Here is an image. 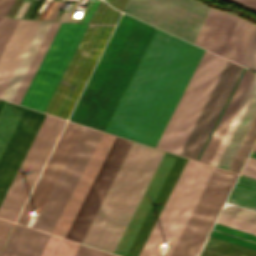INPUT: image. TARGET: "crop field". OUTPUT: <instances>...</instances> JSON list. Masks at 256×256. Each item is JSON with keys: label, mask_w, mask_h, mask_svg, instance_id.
Here are the masks:
<instances>
[{"label": "crop field", "mask_w": 256, "mask_h": 256, "mask_svg": "<svg viewBox=\"0 0 256 256\" xmlns=\"http://www.w3.org/2000/svg\"><path fill=\"white\" fill-rule=\"evenodd\" d=\"M202 52L156 29L105 132L154 147Z\"/></svg>", "instance_id": "8a807250"}, {"label": "crop field", "mask_w": 256, "mask_h": 256, "mask_svg": "<svg viewBox=\"0 0 256 256\" xmlns=\"http://www.w3.org/2000/svg\"><path fill=\"white\" fill-rule=\"evenodd\" d=\"M154 31L123 14L69 120L104 131Z\"/></svg>", "instance_id": "ac0d7876"}, {"label": "crop field", "mask_w": 256, "mask_h": 256, "mask_svg": "<svg viewBox=\"0 0 256 256\" xmlns=\"http://www.w3.org/2000/svg\"><path fill=\"white\" fill-rule=\"evenodd\" d=\"M163 154L132 142L83 244L114 252Z\"/></svg>", "instance_id": "34b2d1b8"}, {"label": "crop field", "mask_w": 256, "mask_h": 256, "mask_svg": "<svg viewBox=\"0 0 256 256\" xmlns=\"http://www.w3.org/2000/svg\"><path fill=\"white\" fill-rule=\"evenodd\" d=\"M81 129H82V126L67 122L44 168V171L40 175L17 221L18 223L25 225L32 211L40 212ZM99 134H100V131L84 127L69 159L67 160L51 194L49 195L34 225V228H37L49 233L51 232Z\"/></svg>", "instance_id": "412701ff"}, {"label": "crop field", "mask_w": 256, "mask_h": 256, "mask_svg": "<svg viewBox=\"0 0 256 256\" xmlns=\"http://www.w3.org/2000/svg\"><path fill=\"white\" fill-rule=\"evenodd\" d=\"M130 144L103 133L53 234L81 242Z\"/></svg>", "instance_id": "f4fd0767"}, {"label": "crop field", "mask_w": 256, "mask_h": 256, "mask_svg": "<svg viewBox=\"0 0 256 256\" xmlns=\"http://www.w3.org/2000/svg\"><path fill=\"white\" fill-rule=\"evenodd\" d=\"M39 21L19 20L0 57V99ZM60 23L40 21L2 100L19 104Z\"/></svg>", "instance_id": "dd49c442"}, {"label": "crop field", "mask_w": 256, "mask_h": 256, "mask_svg": "<svg viewBox=\"0 0 256 256\" xmlns=\"http://www.w3.org/2000/svg\"><path fill=\"white\" fill-rule=\"evenodd\" d=\"M213 167L188 159L164 209L162 210L140 256L157 255L163 242L170 244L169 256Z\"/></svg>", "instance_id": "e52e79f7"}, {"label": "crop field", "mask_w": 256, "mask_h": 256, "mask_svg": "<svg viewBox=\"0 0 256 256\" xmlns=\"http://www.w3.org/2000/svg\"><path fill=\"white\" fill-rule=\"evenodd\" d=\"M226 60L204 51L156 147L180 153Z\"/></svg>", "instance_id": "d8731c3e"}, {"label": "crop field", "mask_w": 256, "mask_h": 256, "mask_svg": "<svg viewBox=\"0 0 256 256\" xmlns=\"http://www.w3.org/2000/svg\"><path fill=\"white\" fill-rule=\"evenodd\" d=\"M113 27L88 25L44 113L67 119Z\"/></svg>", "instance_id": "5a996713"}, {"label": "crop field", "mask_w": 256, "mask_h": 256, "mask_svg": "<svg viewBox=\"0 0 256 256\" xmlns=\"http://www.w3.org/2000/svg\"><path fill=\"white\" fill-rule=\"evenodd\" d=\"M237 176L214 168L170 256H197Z\"/></svg>", "instance_id": "3316defc"}, {"label": "crop field", "mask_w": 256, "mask_h": 256, "mask_svg": "<svg viewBox=\"0 0 256 256\" xmlns=\"http://www.w3.org/2000/svg\"><path fill=\"white\" fill-rule=\"evenodd\" d=\"M86 27L61 23L20 105L43 112Z\"/></svg>", "instance_id": "28ad6ade"}, {"label": "crop field", "mask_w": 256, "mask_h": 256, "mask_svg": "<svg viewBox=\"0 0 256 256\" xmlns=\"http://www.w3.org/2000/svg\"><path fill=\"white\" fill-rule=\"evenodd\" d=\"M124 12L194 43L210 9L195 0H129Z\"/></svg>", "instance_id": "d1516ede"}, {"label": "crop field", "mask_w": 256, "mask_h": 256, "mask_svg": "<svg viewBox=\"0 0 256 256\" xmlns=\"http://www.w3.org/2000/svg\"><path fill=\"white\" fill-rule=\"evenodd\" d=\"M64 123L46 115L0 205V217L15 221Z\"/></svg>", "instance_id": "22f410ed"}, {"label": "crop field", "mask_w": 256, "mask_h": 256, "mask_svg": "<svg viewBox=\"0 0 256 256\" xmlns=\"http://www.w3.org/2000/svg\"><path fill=\"white\" fill-rule=\"evenodd\" d=\"M243 71L244 68L227 61L180 153L181 155L198 160Z\"/></svg>", "instance_id": "cbeb9de0"}, {"label": "crop field", "mask_w": 256, "mask_h": 256, "mask_svg": "<svg viewBox=\"0 0 256 256\" xmlns=\"http://www.w3.org/2000/svg\"><path fill=\"white\" fill-rule=\"evenodd\" d=\"M256 26L212 10L196 44L239 62Z\"/></svg>", "instance_id": "5142ce71"}, {"label": "crop field", "mask_w": 256, "mask_h": 256, "mask_svg": "<svg viewBox=\"0 0 256 256\" xmlns=\"http://www.w3.org/2000/svg\"><path fill=\"white\" fill-rule=\"evenodd\" d=\"M49 234L15 224L0 256H39Z\"/></svg>", "instance_id": "d9b57169"}, {"label": "crop field", "mask_w": 256, "mask_h": 256, "mask_svg": "<svg viewBox=\"0 0 256 256\" xmlns=\"http://www.w3.org/2000/svg\"><path fill=\"white\" fill-rule=\"evenodd\" d=\"M253 73L245 70L237 88L235 89L228 105L226 106L218 124L216 125L209 141L207 142L199 161L209 164L251 78Z\"/></svg>", "instance_id": "733c2abd"}, {"label": "crop field", "mask_w": 256, "mask_h": 256, "mask_svg": "<svg viewBox=\"0 0 256 256\" xmlns=\"http://www.w3.org/2000/svg\"><path fill=\"white\" fill-rule=\"evenodd\" d=\"M256 115V89L225 149L217 167L229 169L254 117Z\"/></svg>", "instance_id": "4a817a6b"}, {"label": "crop field", "mask_w": 256, "mask_h": 256, "mask_svg": "<svg viewBox=\"0 0 256 256\" xmlns=\"http://www.w3.org/2000/svg\"><path fill=\"white\" fill-rule=\"evenodd\" d=\"M204 247L214 249L233 256H256V251L217 238L208 236ZM202 248L199 256H229L214 250Z\"/></svg>", "instance_id": "bc2a9ffb"}, {"label": "crop field", "mask_w": 256, "mask_h": 256, "mask_svg": "<svg viewBox=\"0 0 256 256\" xmlns=\"http://www.w3.org/2000/svg\"><path fill=\"white\" fill-rule=\"evenodd\" d=\"M209 235L256 250V236L248 233L215 223Z\"/></svg>", "instance_id": "214f88e0"}, {"label": "crop field", "mask_w": 256, "mask_h": 256, "mask_svg": "<svg viewBox=\"0 0 256 256\" xmlns=\"http://www.w3.org/2000/svg\"><path fill=\"white\" fill-rule=\"evenodd\" d=\"M255 86H256V73L254 74V76H253V78H252V80H251V82H250V84H249V86H248V88H247V90H246V92H245V94H244V96H243V98H242V100H241V102H240V104H239V106H238V108H237V110H236V112H235V114H234V116H233V118H232V120H231V122H230L222 140H221V142H220V144H219V146H218V148H217V150H216V152H215V154H214V156H213V158L210 162V165H214V166L216 165V163H217V161H218V159H219V157H220V155H221L229 137L231 136V134H232V132H233V130H234V128H235V126H236V124H237V122H238V120H239V118H240V116H241V114H242V112H243V110H244V108H245V106H246L254 88H255Z\"/></svg>", "instance_id": "92a150f3"}, {"label": "crop field", "mask_w": 256, "mask_h": 256, "mask_svg": "<svg viewBox=\"0 0 256 256\" xmlns=\"http://www.w3.org/2000/svg\"><path fill=\"white\" fill-rule=\"evenodd\" d=\"M78 243L51 235L41 256H73Z\"/></svg>", "instance_id": "dafd665d"}, {"label": "crop field", "mask_w": 256, "mask_h": 256, "mask_svg": "<svg viewBox=\"0 0 256 256\" xmlns=\"http://www.w3.org/2000/svg\"><path fill=\"white\" fill-rule=\"evenodd\" d=\"M228 202L256 210V192L234 185Z\"/></svg>", "instance_id": "00972430"}, {"label": "crop field", "mask_w": 256, "mask_h": 256, "mask_svg": "<svg viewBox=\"0 0 256 256\" xmlns=\"http://www.w3.org/2000/svg\"><path fill=\"white\" fill-rule=\"evenodd\" d=\"M109 7L105 2L100 1L89 23L116 25L121 13Z\"/></svg>", "instance_id": "a9b5d70f"}, {"label": "crop field", "mask_w": 256, "mask_h": 256, "mask_svg": "<svg viewBox=\"0 0 256 256\" xmlns=\"http://www.w3.org/2000/svg\"><path fill=\"white\" fill-rule=\"evenodd\" d=\"M255 139H256V118L230 168V171L239 173Z\"/></svg>", "instance_id": "4177f3b9"}, {"label": "crop field", "mask_w": 256, "mask_h": 256, "mask_svg": "<svg viewBox=\"0 0 256 256\" xmlns=\"http://www.w3.org/2000/svg\"><path fill=\"white\" fill-rule=\"evenodd\" d=\"M221 214L234 217L252 224H256V212L237 206H228L221 210Z\"/></svg>", "instance_id": "730fd06b"}, {"label": "crop field", "mask_w": 256, "mask_h": 256, "mask_svg": "<svg viewBox=\"0 0 256 256\" xmlns=\"http://www.w3.org/2000/svg\"><path fill=\"white\" fill-rule=\"evenodd\" d=\"M18 20L0 16V55L10 38Z\"/></svg>", "instance_id": "eef30255"}, {"label": "crop field", "mask_w": 256, "mask_h": 256, "mask_svg": "<svg viewBox=\"0 0 256 256\" xmlns=\"http://www.w3.org/2000/svg\"><path fill=\"white\" fill-rule=\"evenodd\" d=\"M216 223L256 235V225L219 214Z\"/></svg>", "instance_id": "ae1a2a85"}, {"label": "crop field", "mask_w": 256, "mask_h": 256, "mask_svg": "<svg viewBox=\"0 0 256 256\" xmlns=\"http://www.w3.org/2000/svg\"><path fill=\"white\" fill-rule=\"evenodd\" d=\"M240 64L256 71V31L240 61Z\"/></svg>", "instance_id": "d3111659"}, {"label": "crop field", "mask_w": 256, "mask_h": 256, "mask_svg": "<svg viewBox=\"0 0 256 256\" xmlns=\"http://www.w3.org/2000/svg\"><path fill=\"white\" fill-rule=\"evenodd\" d=\"M84 248V245L80 244L75 256H80L82 250ZM111 253H107L101 250H97L91 247L85 246L81 256H111Z\"/></svg>", "instance_id": "750c4746"}, {"label": "crop field", "mask_w": 256, "mask_h": 256, "mask_svg": "<svg viewBox=\"0 0 256 256\" xmlns=\"http://www.w3.org/2000/svg\"><path fill=\"white\" fill-rule=\"evenodd\" d=\"M256 13V0H226Z\"/></svg>", "instance_id": "bd1437ed"}, {"label": "crop field", "mask_w": 256, "mask_h": 256, "mask_svg": "<svg viewBox=\"0 0 256 256\" xmlns=\"http://www.w3.org/2000/svg\"><path fill=\"white\" fill-rule=\"evenodd\" d=\"M241 175L256 179V162L248 160Z\"/></svg>", "instance_id": "1d83c4d3"}, {"label": "crop field", "mask_w": 256, "mask_h": 256, "mask_svg": "<svg viewBox=\"0 0 256 256\" xmlns=\"http://www.w3.org/2000/svg\"><path fill=\"white\" fill-rule=\"evenodd\" d=\"M236 185L256 191V181L239 176Z\"/></svg>", "instance_id": "120bbe31"}, {"label": "crop field", "mask_w": 256, "mask_h": 256, "mask_svg": "<svg viewBox=\"0 0 256 256\" xmlns=\"http://www.w3.org/2000/svg\"><path fill=\"white\" fill-rule=\"evenodd\" d=\"M11 223L10 222H6L3 221L2 219H0V245L10 227Z\"/></svg>", "instance_id": "d32e631a"}, {"label": "crop field", "mask_w": 256, "mask_h": 256, "mask_svg": "<svg viewBox=\"0 0 256 256\" xmlns=\"http://www.w3.org/2000/svg\"><path fill=\"white\" fill-rule=\"evenodd\" d=\"M14 0H0V13L6 15Z\"/></svg>", "instance_id": "5866460e"}, {"label": "crop field", "mask_w": 256, "mask_h": 256, "mask_svg": "<svg viewBox=\"0 0 256 256\" xmlns=\"http://www.w3.org/2000/svg\"><path fill=\"white\" fill-rule=\"evenodd\" d=\"M29 2H30V0H24V2L22 3L21 7L18 10V12L15 15V18H21L22 14L25 11L26 7L28 6Z\"/></svg>", "instance_id": "028f5c9d"}, {"label": "crop field", "mask_w": 256, "mask_h": 256, "mask_svg": "<svg viewBox=\"0 0 256 256\" xmlns=\"http://www.w3.org/2000/svg\"><path fill=\"white\" fill-rule=\"evenodd\" d=\"M99 1H94L93 5L91 6L89 12L87 13L86 17L84 18L83 22L87 23L91 17V15L93 14L95 8L97 7Z\"/></svg>", "instance_id": "e1f06a70"}, {"label": "crop field", "mask_w": 256, "mask_h": 256, "mask_svg": "<svg viewBox=\"0 0 256 256\" xmlns=\"http://www.w3.org/2000/svg\"><path fill=\"white\" fill-rule=\"evenodd\" d=\"M78 3H79V1H76V2H75V4H74V6H73V8H72V10H71V12H70V14L68 15L66 21H70V19H71L72 15H73V13H74V11H75V9H76Z\"/></svg>", "instance_id": "0bd39190"}, {"label": "crop field", "mask_w": 256, "mask_h": 256, "mask_svg": "<svg viewBox=\"0 0 256 256\" xmlns=\"http://www.w3.org/2000/svg\"><path fill=\"white\" fill-rule=\"evenodd\" d=\"M65 2V1H64ZM63 1H60L59 5L57 6L55 12L53 13L52 17L50 18V20H53L54 16L56 15L57 11L59 10L60 6L62 5ZM62 7V6H61Z\"/></svg>", "instance_id": "b80d0937"}, {"label": "crop field", "mask_w": 256, "mask_h": 256, "mask_svg": "<svg viewBox=\"0 0 256 256\" xmlns=\"http://www.w3.org/2000/svg\"><path fill=\"white\" fill-rule=\"evenodd\" d=\"M53 11H54L53 9H50V11L48 12V14H47L45 20H49V18H50V16L52 15Z\"/></svg>", "instance_id": "c035e120"}, {"label": "crop field", "mask_w": 256, "mask_h": 256, "mask_svg": "<svg viewBox=\"0 0 256 256\" xmlns=\"http://www.w3.org/2000/svg\"><path fill=\"white\" fill-rule=\"evenodd\" d=\"M66 14H67V12H66V11H64V13L62 14V16H61V18H60V20H59V21H63V20H64V18H65V16H66Z\"/></svg>", "instance_id": "c21b1889"}, {"label": "crop field", "mask_w": 256, "mask_h": 256, "mask_svg": "<svg viewBox=\"0 0 256 256\" xmlns=\"http://www.w3.org/2000/svg\"><path fill=\"white\" fill-rule=\"evenodd\" d=\"M250 157L256 158V152L252 151V153L250 154Z\"/></svg>", "instance_id": "03da06ac"}, {"label": "crop field", "mask_w": 256, "mask_h": 256, "mask_svg": "<svg viewBox=\"0 0 256 256\" xmlns=\"http://www.w3.org/2000/svg\"><path fill=\"white\" fill-rule=\"evenodd\" d=\"M3 104H4V101H1V100H0V110H1V108H2V106H3Z\"/></svg>", "instance_id": "b54c1fbb"}, {"label": "crop field", "mask_w": 256, "mask_h": 256, "mask_svg": "<svg viewBox=\"0 0 256 256\" xmlns=\"http://www.w3.org/2000/svg\"><path fill=\"white\" fill-rule=\"evenodd\" d=\"M248 159H249V160H252V161H256V159H253V158H250V157H249Z\"/></svg>", "instance_id": "5d738f31"}, {"label": "crop field", "mask_w": 256, "mask_h": 256, "mask_svg": "<svg viewBox=\"0 0 256 256\" xmlns=\"http://www.w3.org/2000/svg\"><path fill=\"white\" fill-rule=\"evenodd\" d=\"M253 150V149H252ZM254 151H256V146H255V148H254Z\"/></svg>", "instance_id": "d23c7cc5"}, {"label": "crop field", "mask_w": 256, "mask_h": 256, "mask_svg": "<svg viewBox=\"0 0 256 256\" xmlns=\"http://www.w3.org/2000/svg\"><path fill=\"white\" fill-rule=\"evenodd\" d=\"M112 256H114V255H112Z\"/></svg>", "instance_id": "425ffa30"}]
</instances>
